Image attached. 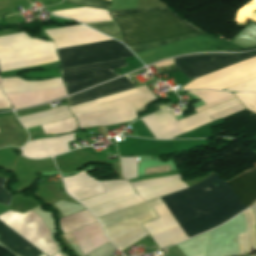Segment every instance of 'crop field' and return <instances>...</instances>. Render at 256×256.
<instances>
[{"label":"crop field","mask_w":256,"mask_h":256,"mask_svg":"<svg viewBox=\"0 0 256 256\" xmlns=\"http://www.w3.org/2000/svg\"><path fill=\"white\" fill-rule=\"evenodd\" d=\"M228 184L245 208L249 207L256 200V167ZM194 185L225 221L245 209L226 181L214 172ZM194 185L160 197L191 237L225 222Z\"/></svg>","instance_id":"crop-field-1"},{"label":"crop field","mask_w":256,"mask_h":256,"mask_svg":"<svg viewBox=\"0 0 256 256\" xmlns=\"http://www.w3.org/2000/svg\"><path fill=\"white\" fill-rule=\"evenodd\" d=\"M256 55L254 53L200 55L173 59L176 67L188 78L212 73ZM256 77V56L192 81L184 89L210 88L223 90Z\"/></svg>","instance_id":"crop-field-2"},{"label":"crop field","mask_w":256,"mask_h":256,"mask_svg":"<svg viewBox=\"0 0 256 256\" xmlns=\"http://www.w3.org/2000/svg\"><path fill=\"white\" fill-rule=\"evenodd\" d=\"M127 46L174 38L199 31L166 7L110 11Z\"/></svg>","instance_id":"crop-field-3"},{"label":"crop field","mask_w":256,"mask_h":256,"mask_svg":"<svg viewBox=\"0 0 256 256\" xmlns=\"http://www.w3.org/2000/svg\"><path fill=\"white\" fill-rule=\"evenodd\" d=\"M155 98L145 85L70 107L79 128L109 125L131 120L133 112Z\"/></svg>","instance_id":"crop-field-4"},{"label":"crop field","mask_w":256,"mask_h":256,"mask_svg":"<svg viewBox=\"0 0 256 256\" xmlns=\"http://www.w3.org/2000/svg\"><path fill=\"white\" fill-rule=\"evenodd\" d=\"M57 60L52 42L32 39L22 32L0 36V72Z\"/></svg>","instance_id":"crop-field-5"},{"label":"crop field","mask_w":256,"mask_h":256,"mask_svg":"<svg viewBox=\"0 0 256 256\" xmlns=\"http://www.w3.org/2000/svg\"><path fill=\"white\" fill-rule=\"evenodd\" d=\"M242 109H244V106L235 98L178 122L169 111L157 112L142 118V120L156 138L171 139L202 124L225 117Z\"/></svg>","instance_id":"crop-field-6"},{"label":"crop field","mask_w":256,"mask_h":256,"mask_svg":"<svg viewBox=\"0 0 256 256\" xmlns=\"http://www.w3.org/2000/svg\"><path fill=\"white\" fill-rule=\"evenodd\" d=\"M1 88L15 109L66 96L60 78L37 82L23 81L19 78L1 79Z\"/></svg>","instance_id":"crop-field-7"},{"label":"crop field","mask_w":256,"mask_h":256,"mask_svg":"<svg viewBox=\"0 0 256 256\" xmlns=\"http://www.w3.org/2000/svg\"><path fill=\"white\" fill-rule=\"evenodd\" d=\"M61 69L132 56L120 42L111 40L56 50Z\"/></svg>","instance_id":"crop-field-8"},{"label":"crop field","mask_w":256,"mask_h":256,"mask_svg":"<svg viewBox=\"0 0 256 256\" xmlns=\"http://www.w3.org/2000/svg\"><path fill=\"white\" fill-rule=\"evenodd\" d=\"M106 194L83 201L95 218L144 202L132 189L128 181H101Z\"/></svg>","instance_id":"crop-field-9"},{"label":"crop field","mask_w":256,"mask_h":256,"mask_svg":"<svg viewBox=\"0 0 256 256\" xmlns=\"http://www.w3.org/2000/svg\"><path fill=\"white\" fill-rule=\"evenodd\" d=\"M243 49L209 34L188 39L185 41L149 49L136 53L137 57L146 65L165 59L170 56L200 51H221Z\"/></svg>","instance_id":"crop-field-10"},{"label":"crop field","mask_w":256,"mask_h":256,"mask_svg":"<svg viewBox=\"0 0 256 256\" xmlns=\"http://www.w3.org/2000/svg\"><path fill=\"white\" fill-rule=\"evenodd\" d=\"M45 32L55 42L56 49L111 40L83 25L47 30Z\"/></svg>","instance_id":"crop-field-11"},{"label":"crop field","mask_w":256,"mask_h":256,"mask_svg":"<svg viewBox=\"0 0 256 256\" xmlns=\"http://www.w3.org/2000/svg\"><path fill=\"white\" fill-rule=\"evenodd\" d=\"M131 184L146 201L187 188L179 175L154 178Z\"/></svg>","instance_id":"crop-field-12"},{"label":"crop field","mask_w":256,"mask_h":256,"mask_svg":"<svg viewBox=\"0 0 256 256\" xmlns=\"http://www.w3.org/2000/svg\"><path fill=\"white\" fill-rule=\"evenodd\" d=\"M126 66L124 59L61 70L65 84L113 74L111 70Z\"/></svg>","instance_id":"crop-field-13"},{"label":"crop field","mask_w":256,"mask_h":256,"mask_svg":"<svg viewBox=\"0 0 256 256\" xmlns=\"http://www.w3.org/2000/svg\"><path fill=\"white\" fill-rule=\"evenodd\" d=\"M134 86L128 81V79L123 76L121 78L115 79L108 83L102 84L90 90L84 91L77 95L69 97L68 106H74L80 103H84L90 100H94L100 97H104L110 94H114L120 91H124Z\"/></svg>","instance_id":"crop-field-14"},{"label":"crop field","mask_w":256,"mask_h":256,"mask_svg":"<svg viewBox=\"0 0 256 256\" xmlns=\"http://www.w3.org/2000/svg\"><path fill=\"white\" fill-rule=\"evenodd\" d=\"M0 243L18 256H39L42 252L0 221Z\"/></svg>","instance_id":"crop-field-15"},{"label":"crop field","mask_w":256,"mask_h":256,"mask_svg":"<svg viewBox=\"0 0 256 256\" xmlns=\"http://www.w3.org/2000/svg\"><path fill=\"white\" fill-rule=\"evenodd\" d=\"M70 111L67 109V105L37 112L34 114L26 115L19 117L20 122L24 125L25 128L38 126L60 120L63 118L71 117Z\"/></svg>","instance_id":"crop-field-16"},{"label":"crop field","mask_w":256,"mask_h":256,"mask_svg":"<svg viewBox=\"0 0 256 256\" xmlns=\"http://www.w3.org/2000/svg\"><path fill=\"white\" fill-rule=\"evenodd\" d=\"M246 218L247 232L238 234L237 246L240 254L255 246V220L251 209L243 211Z\"/></svg>","instance_id":"crop-field-17"},{"label":"crop field","mask_w":256,"mask_h":256,"mask_svg":"<svg viewBox=\"0 0 256 256\" xmlns=\"http://www.w3.org/2000/svg\"><path fill=\"white\" fill-rule=\"evenodd\" d=\"M200 98L206 105L195 109L197 112L235 98L230 92L195 90L188 91Z\"/></svg>","instance_id":"crop-field-18"},{"label":"crop field","mask_w":256,"mask_h":256,"mask_svg":"<svg viewBox=\"0 0 256 256\" xmlns=\"http://www.w3.org/2000/svg\"><path fill=\"white\" fill-rule=\"evenodd\" d=\"M60 228L63 234L76 229L78 227L84 226L91 222H95V220L91 217L87 210L72 214L65 218L59 220Z\"/></svg>","instance_id":"crop-field-19"},{"label":"crop field","mask_w":256,"mask_h":256,"mask_svg":"<svg viewBox=\"0 0 256 256\" xmlns=\"http://www.w3.org/2000/svg\"><path fill=\"white\" fill-rule=\"evenodd\" d=\"M202 34H206V33L200 31V32H196V33H193V34H190V35H186V36H183V37H179V38L169 39V40L160 41V42H155V43H149V44L131 46V47H129V48H130L134 53H136V52H140V51H143V50L152 48V47H156V46H160V45H165V44H168V43H172V42H176V41H180V40L192 38V37L199 36V35H202Z\"/></svg>","instance_id":"crop-field-20"},{"label":"crop field","mask_w":256,"mask_h":256,"mask_svg":"<svg viewBox=\"0 0 256 256\" xmlns=\"http://www.w3.org/2000/svg\"><path fill=\"white\" fill-rule=\"evenodd\" d=\"M115 76H116V74L112 75V76H107V77L87 80V81H83V82H79V83H75V84H69V85H65V86L67 88V93L69 95V94H72L74 92L80 91V90L88 88L90 86H93L95 84H98V83H101L103 81H106L108 79H111V78H113Z\"/></svg>","instance_id":"crop-field-21"},{"label":"crop field","mask_w":256,"mask_h":256,"mask_svg":"<svg viewBox=\"0 0 256 256\" xmlns=\"http://www.w3.org/2000/svg\"><path fill=\"white\" fill-rule=\"evenodd\" d=\"M89 27L99 30L113 38L119 37V29L114 21L101 22V23H91L87 24Z\"/></svg>","instance_id":"crop-field-22"},{"label":"crop field","mask_w":256,"mask_h":256,"mask_svg":"<svg viewBox=\"0 0 256 256\" xmlns=\"http://www.w3.org/2000/svg\"><path fill=\"white\" fill-rule=\"evenodd\" d=\"M121 171L124 178H134L136 177V157L131 158H121Z\"/></svg>","instance_id":"crop-field-23"},{"label":"crop field","mask_w":256,"mask_h":256,"mask_svg":"<svg viewBox=\"0 0 256 256\" xmlns=\"http://www.w3.org/2000/svg\"><path fill=\"white\" fill-rule=\"evenodd\" d=\"M234 95L247 109L256 113V93H235Z\"/></svg>","instance_id":"crop-field-24"},{"label":"crop field","mask_w":256,"mask_h":256,"mask_svg":"<svg viewBox=\"0 0 256 256\" xmlns=\"http://www.w3.org/2000/svg\"><path fill=\"white\" fill-rule=\"evenodd\" d=\"M227 91H256V79L225 89Z\"/></svg>","instance_id":"crop-field-25"},{"label":"crop field","mask_w":256,"mask_h":256,"mask_svg":"<svg viewBox=\"0 0 256 256\" xmlns=\"http://www.w3.org/2000/svg\"><path fill=\"white\" fill-rule=\"evenodd\" d=\"M64 1L73 2V3H76L78 5L87 6V7H98V8L109 9L108 6L102 5L100 3H97V2H94V1H91V0H64Z\"/></svg>","instance_id":"crop-field-26"},{"label":"crop field","mask_w":256,"mask_h":256,"mask_svg":"<svg viewBox=\"0 0 256 256\" xmlns=\"http://www.w3.org/2000/svg\"><path fill=\"white\" fill-rule=\"evenodd\" d=\"M4 182L5 179L0 178V202L9 205L11 195L3 188Z\"/></svg>","instance_id":"crop-field-27"},{"label":"crop field","mask_w":256,"mask_h":256,"mask_svg":"<svg viewBox=\"0 0 256 256\" xmlns=\"http://www.w3.org/2000/svg\"><path fill=\"white\" fill-rule=\"evenodd\" d=\"M10 103L8 99L0 91V109L10 108Z\"/></svg>","instance_id":"crop-field-28"},{"label":"crop field","mask_w":256,"mask_h":256,"mask_svg":"<svg viewBox=\"0 0 256 256\" xmlns=\"http://www.w3.org/2000/svg\"><path fill=\"white\" fill-rule=\"evenodd\" d=\"M94 1L103 3V4L108 5V6H109V4H110V2H109V1H106V0H94Z\"/></svg>","instance_id":"crop-field-29"},{"label":"crop field","mask_w":256,"mask_h":256,"mask_svg":"<svg viewBox=\"0 0 256 256\" xmlns=\"http://www.w3.org/2000/svg\"><path fill=\"white\" fill-rule=\"evenodd\" d=\"M42 256H45L44 254Z\"/></svg>","instance_id":"crop-field-30"}]
</instances>
